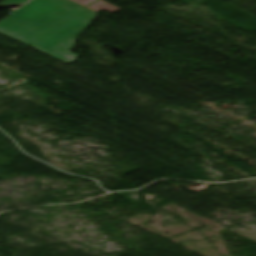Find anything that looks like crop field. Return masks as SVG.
Segmentation results:
<instances>
[{
	"label": "crop field",
	"mask_w": 256,
	"mask_h": 256,
	"mask_svg": "<svg viewBox=\"0 0 256 256\" xmlns=\"http://www.w3.org/2000/svg\"><path fill=\"white\" fill-rule=\"evenodd\" d=\"M96 16L69 0H33L0 21V32L71 63L78 58L69 52L75 38Z\"/></svg>",
	"instance_id": "1"
},
{
	"label": "crop field",
	"mask_w": 256,
	"mask_h": 256,
	"mask_svg": "<svg viewBox=\"0 0 256 256\" xmlns=\"http://www.w3.org/2000/svg\"><path fill=\"white\" fill-rule=\"evenodd\" d=\"M87 8L95 11V12H99V11H102V10H106V11H109L111 13H115L116 11H120L122 9L114 6V5H111V4H108L102 0L88 6Z\"/></svg>",
	"instance_id": "2"
},
{
	"label": "crop field",
	"mask_w": 256,
	"mask_h": 256,
	"mask_svg": "<svg viewBox=\"0 0 256 256\" xmlns=\"http://www.w3.org/2000/svg\"><path fill=\"white\" fill-rule=\"evenodd\" d=\"M27 1H29V0H6L5 2H3V3L1 2V3L2 4H18V5H21V4H23ZM2 4H0V5H2Z\"/></svg>",
	"instance_id": "3"
},
{
	"label": "crop field",
	"mask_w": 256,
	"mask_h": 256,
	"mask_svg": "<svg viewBox=\"0 0 256 256\" xmlns=\"http://www.w3.org/2000/svg\"><path fill=\"white\" fill-rule=\"evenodd\" d=\"M71 1L85 7V6H87L88 4L92 3L95 0H71Z\"/></svg>",
	"instance_id": "4"
}]
</instances>
